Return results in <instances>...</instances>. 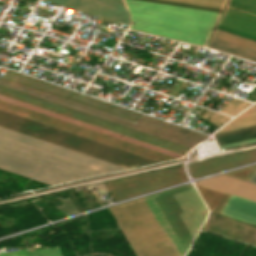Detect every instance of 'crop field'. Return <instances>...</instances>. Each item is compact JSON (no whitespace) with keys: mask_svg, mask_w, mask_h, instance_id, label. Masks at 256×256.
<instances>
[{"mask_svg":"<svg viewBox=\"0 0 256 256\" xmlns=\"http://www.w3.org/2000/svg\"><path fill=\"white\" fill-rule=\"evenodd\" d=\"M179 256L208 210L192 184L145 197ZM144 197L109 207L136 256H178Z\"/></svg>","mask_w":256,"mask_h":256,"instance_id":"crop-field-1","label":"crop field"},{"mask_svg":"<svg viewBox=\"0 0 256 256\" xmlns=\"http://www.w3.org/2000/svg\"><path fill=\"white\" fill-rule=\"evenodd\" d=\"M132 29L203 46L219 13L125 0Z\"/></svg>","mask_w":256,"mask_h":256,"instance_id":"crop-field-2","label":"crop field"},{"mask_svg":"<svg viewBox=\"0 0 256 256\" xmlns=\"http://www.w3.org/2000/svg\"><path fill=\"white\" fill-rule=\"evenodd\" d=\"M0 150L82 177L125 169L2 127Z\"/></svg>","mask_w":256,"mask_h":256,"instance_id":"crop-field-3","label":"crop field"},{"mask_svg":"<svg viewBox=\"0 0 256 256\" xmlns=\"http://www.w3.org/2000/svg\"><path fill=\"white\" fill-rule=\"evenodd\" d=\"M0 85L28 93L91 115H95L128 127H131L133 129L187 146V147H194L196 144L202 142L204 139H206L208 136L194 132L192 130L173 125L164 121H160L151 117L147 116H140L136 121L131 122L68 100H64L37 90H34L32 88L5 80L0 78Z\"/></svg>","mask_w":256,"mask_h":256,"instance_id":"crop-field-4","label":"crop field"},{"mask_svg":"<svg viewBox=\"0 0 256 256\" xmlns=\"http://www.w3.org/2000/svg\"><path fill=\"white\" fill-rule=\"evenodd\" d=\"M0 168L49 185L81 178L2 151H0Z\"/></svg>","mask_w":256,"mask_h":256,"instance_id":"crop-field-5","label":"crop field"},{"mask_svg":"<svg viewBox=\"0 0 256 256\" xmlns=\"http://www.w3.org/2000/svg\"><path fill=\"white\" fill-rule=\"evenodd\" d=\"M217 28L256 40V0H231Z\"/></svg>","mask_w":256,"mask_h":256,"instance_id":"crop-field-6","label":"crop field"},{"mask_svg":"<svg viewBox=\"0 0 256 256\" xmlns=\"http://www.w3.org/2000/svg\"><path fill=\"white\" fill-rule=\"evenodd\" d=\"M93 16H101L129 25V14L122 0H47Z\"/></svg>","mask_w":256,"mask_h":256,"instance_id":"crop-field-7","label":"crop field"},{"mask_svg":"<svg viewBox=\"0 0 256 256\" xmlns=\"http://www.w3.org/2000/svg\"><path fill=\"white\" fill-rule=\"evenodd\" d=\"M195 183L256 201V184H252L224 174Z\"/></svg>","mask_w":256,"mask_h":256,"instance_id":"crop-field-8","label":"crop field"},{"mask_svg":"<svg viewBox=\"0 0 256 256\" xmlns=\"http://www.w3.org/2000/svg\"><path fill=\"white\" fill-rule=\"evenodd\" d=\"M0 99L4 100V101H7V102L17 104V105H20V106H23V107H26V108H29V109H32V110H35V111H38V112H41V113H44V114H47V115H50V116H53V117H57V118H60V119H63V120H66V121H69V122H72V123H75V124H78V125H80V123H81V121H78V120H75V119H72V118H68V117H65V116L50 112V111H46V110L31 106V105H28V104H24V103L12 100V99H10L8 97H5V96H2V95H0ZM81 126H84V127H87V128H90V129H93V130H96V131H99V132H102V133L120 138V139H123V140H126V141H129L131 143H134V144H137V145H140V146H143V147H146V148H149V149H152V150H155V151H158V152H161V153H164V154L176 157V158H180V157L183 156V155L165 150L163 148H160V147H157V146H154V145H151V144H148V143H145V142H142V141H139V140H136V139L118 134V133H114V132H111V131H108V130H105V129H102V128H99V127H96V126H93V125H90V124H87V123H84V122H82Z\"/></svg>","mask_w":256,"mask_h":256,"instance_id":"crop-field-9","label":"crop field"},{"mask_svg":"<svg viewBox=\"0 0 256 256\" xmlns=\"http://www.w3.org/2000/svg\"><path fill=\"white\" fill-rule=\"evenodd\" d=\"M222 215L256 225V202L231 195Z\"/></svg>","mask_w":256,"mask_h":256,"instance_id":"crop-field-10","label":"crop field"},{"mask_svg":"<svg viewBox=\"0 0 256 256\" xmlns=\"http://www.w3.org/2000/svg\"><path fill=\"white\" fill-rule=\"evenodd\" d=\"M220 149L256 142V125L214 134Z\"/></svg>","mask_w":256,"mask_h":256,"instance_id":"crop-field-11","label":"crop field"},{"mask_svg":"<svg viewBox=\"0 0 256 256\" xmlns=\"http://www.w3.org/2000/svg\"><path fill=\"white\" fill-rule=\"evenodd\" d=\"M220 12L225 0H142Z\"/></svg>","mask_w":256,"mask_h":256,"instance_id":"crop-field-12","label":"crop field"},{"mask_svg":"<svg viewBox=\"0 0 256 256\" xmlns=\"http://www.w3.org/2000/svg\"><path fill=\"white\" fill-rule=\"evenodd\" d=\"M208 47L256 62V52L255 51H252V50H249V49H246L243 47H239V46H236V45L224 42V41H220V40L213 38Z\"/></svg>","mask_w":256,"mask_h":256,"instance_id":"crop-field-13","label":"crop field"},{"mask_svg":"<svg viewBox=\"0 0 256 256\" xmlns=\"http://www.w3.org/2000/svg\"><path fill=\"white\" fill-rule=\"evenodd\" d=\"M256 124V104L248 108L219 132ZM218 133V132H217Z\"/></svg>","mask_w":256,"mask_h":256,"instance_id":"crop-field-14","label":"crop field"},{"mask_svg":"<svg viewBox=\"0 0 256 256\" xmlns=\"http://www.w3.org/2000/svg\"><path fill=\"white\" fill-rule=\"evenodd\" d=\"M213 37L256 51V41H253V40H249V39H246L231 33H227L218 29L216 30Z\"/></svg>","mask_w":256,"mask_h":256,"instance_id":"crop-field-15","label":"crop field"},{"mask_svg":"<svg viewBox=\"0 0 256 256\" xmlns=\"http://www.w3.org/2000/svg\"><path fill=\"white\" fill-rule=\"evenodd\" d=\"M250 182L256 183V172L253 174V176L249 180Z\"/></svg>","mask_w":256,"mask_h":256,"instance_id":"crop-field-16","label":"crop field"}]
</instances>
